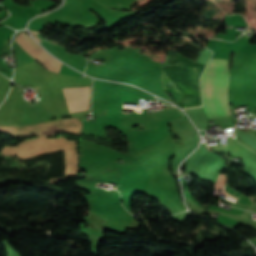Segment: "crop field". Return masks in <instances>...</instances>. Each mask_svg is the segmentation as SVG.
Listing matches in <instances>:
<instances>
[{"label": "crop field", "mask_w": 256, "mask_h": 256, "mask_svg": "<svg viewBox=\"0 0 256 256\" xmlns=\"http://www.w3.org/2000/svg\"><path fill=\"white\" fill-rule=\"evenodd\" d=\"M229 71L227 60L211 59L202 78L204 106L208 118L230 114L227 88Z\"/></svg>", "instance_id": "1"}, {"label": "crop field", "mask_w": 256, "mask_h": 256, "mask_svg": "<svg viewBox=\"0 0 256 256\" xmlns=\"http://www.w3.org/2000/svg\"><path fill=\"white\" fill-rule=\"evenodd\" d=\"M19 46L35 58L38 62H40L44 67L48 70L59 72L62 64H60L57 60L53 59L49 56L35 41H33L28 35L21 33L15 39Z\"/></svg>", "instance_id": "2"}, {"label": "crop field", "mask_w": 256, "mask_h": 256, "mask_svg": "<svg viewBox=\"0 0 256 256\" xmlns=\"http://www.w3.org/2000/svg\"><path fill=\"white\" fill-rule=\"evenodd\" d=\"M69 112L89 109L90 87L63 88Z\"/></svg>", "instance_id": "3"}, {"label": "crop field", "mask_w": 256, "mask_h": 256, "mask_svg": "<svg viewBox=\"0 0 256 256\" xmlns=\"http://www.w3.org/2000/svg\"><path fill=\"white\" fill-rule=\"evenodd\" d=\"M37 94H38V96H41V93H40V91H37Z\"/></svg>", "instance_id": "4"}]
</instances>
